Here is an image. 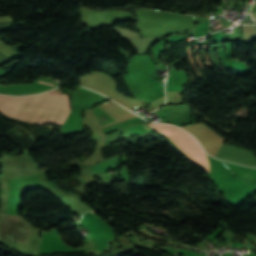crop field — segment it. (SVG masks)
I'll list each match as a JSON object with an SVG mask.
<instances>
[{
  "label": "crop field",
  "instance_id": "f4fd0767",
  "mask_svg": "<svg viewBox=\"0 0 256 256\" xmlns=\"http://www.w3.org/2000/svg\"><path fill=\"white\" fill-rule=\"evenodd\" d=\"M42 82V81H41ZM46 83V82H45ZM50 84V83H49ZM54 85V84H53Z\"/></svg>",
  "mask_w": 256,
  "mask_h": 256
},
{
  "label": "crop field",
  "instance_id": "34b2d1b8",
  "mask_svg": "<svg viewBox=\"0 0 256 256\" xmlns=\"http://www.w3.org/2000/svg\"><path fill=\"white\" fill-rule=\"evenodd\" d=\"M103 106L111 115L117 118L119 121H123L132 117H136L133 113L127 111L123 107L115 104L114 102L110 101L106 104H102Z\"/></svg>",
  "mask_w": 256,
  "mask_h": 256
},
{
  "label": "crop field",
  "instance_id": "412701ff",
  "mask_svg": "<svg viewBox=\"0 0 256 256\" xmlns=\"http://www.w3.org/2000/svg\"><path fill=\"white\" fill-rule=\"evenodd\" d=\"M150 130H152L146 123H144Z\"/></svg>",
  "mask_w": 256,
  "mask_h": 256
},
{
  "label": "crop field",
  "instance_id": "ac0d7876",
  "mask_svg": "<svg viewBox=\"0 0 256 256\" xmlns=\"http://www.w3.org/2000/svg\"><path fill=\"white\" fill-rule=\"evenodd\" d=\"M153 128L158 129L168 135L174 143L188 154L191 158L197 161L205 169H209V163L206 154L199 146L196 139H194L190 134L182 131L176 126H171L167 124H149Z\"/></svg>",
  "mask_w": 256,
  "mask_h": 256
},
{
  "label": "crop field",
  "instance_id": "8a807250",
  "mask_svg": "<svg viewBox=\"0 0 256 256\" xmlns=\"http://www.w3.org/2000/svg\"><path fill=\"white\" fill-rule=\"evenodd\" d=\"M68 95L46 92L13 97L0 95V111L35 124H63L70 112Z\"/></svg>",
  "mask_w": 256,
  "mask_h": 256
}]
</instances>
